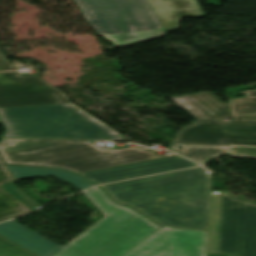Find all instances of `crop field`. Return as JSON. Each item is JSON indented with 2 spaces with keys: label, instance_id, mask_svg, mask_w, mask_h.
<instances>
[{
  "label": "crop field",
  "instance_id": "obj_17",
  "mask_svg": "<svg viewBox=\"0 0 256 256\" xmlns=\"http://www.w3.org/2000/svg\"><path fill=\"white\" fill-rule=\"evenodd\" d=\"M245 98L230 100L233 121H256V89L241 91Z\"/></svg>",
  "mask_w": 256,
  "mask_h": 256
},
{
  "label": "crop field",
  "instance_id": "obj_22",
  "mask_svg": "<svg viewBox=\"0 0 256 256\" xmlns=\"http://www.w3.org/2000/svg\"><path fill=\"white\" fill-rule=\"evenodd\" d=\"M256 207V203L237 199L227 193L226 209Z\"/></svg>",
  "mask_w": 256,
  "mask_h": 256
},
{
  "label": "crop field",
  "instance_id": "obj_18",
  "mask_svg": "<svg viewBox=\"0 0 256 256\" xmlns=\"http://www.w3.org/2000/svg\"><path fill=\"white\" fill-rule=\"evenodd\" d=\"M135 256H174L170 233H165Z\"/></svg>",
  "mask_w": 256,
  "mask_h": 256
},
{
  "label": "crop field",
  "instance_id": "obj_2",
  "mask_svg": "<svg viewBox=\"0 0 256 256\" xmlns=\"http://www.w3.org/2000/svg\"><path fill=\"white\" fill-rule=\"evenodd\" d=\"M85 193L106 217L67 246L13 220L0 224V234L40 256H122L160 228L130 208L113 203L97 187Z\"/></svg>",
  "mask_w": 256,
  "mask_h": 256
},
{
  "label": "crop field",
  "instance_id": "obj_19",
  "mask_svg": "<svg viewBox=\"0 0 256 256\" xmlns=\"http://www.w3.org/2000/svg\"><path fill=\"white\" fill-rule=\"evenodd\" d=\"M2 188H4L6 191H8L10 194H12L14 197H16L33 211L42 206L31 197H29L27 194H25L23 191H21L12 182L4 184Z\"/></svg>",
  "mask_w": 256,
  "mask_h": 256
},
{
  "label": "crop field",
  "instance_id": "obj_20",
  "mask_svg": "<svg viewBox=\"0 0 256 256\" xmlns=\"http://www.w3.org/2000/svg\"><path fill=\"white\" fill-rule=\"evenodd\" d=\"M0 256H36V255L0 237Z\"/></svg>",
  "mask_w": 256,
  "mask_h": 256
},
{
  "label": "crop field",
  "instance_id": "obj_1",
  "mask_svg": "<svg viewBox=\"0 0 256 256\" xmlns=\"http://www.w3.org/2000/svg\"><path fill=\"white\" fill-rule=\"evenodd\" d=\"M211 175L201 168L102 185L162 226L207 230Z\"/></svg>",
  "mask_w": 256,
  "mask_h": 256
},
{
  "label": "crop field",
  "instance_id": "obj_25",
  "mask_svg": "<svg viewBox=\"0 0 256 256\" xmlns=\"http://www.w3.org/2000/svg\"><path fill=\"white\" fill-rule=\"evenodd\" d=\"M164 229L167 230L168 232H170V230H168L167 228L164 227ZM171 237H172V234H171ZM172 241H173V237H172ZM173 244H174V242H173ZM175 256H176V247H175Z\"/></svg>",
  "mask_w": 256,
  "mask_h": 256
},
{
  "label": "crop field",
  "instance_id": "obj_4",
  "mask_svg": "<svg viewBox=\"0 0 256 256\" xmlns=\"http://www.w3.org/2000/svg\"><path fill=\"white\" fill-rule=\"evenodd\" d=\"M84 18L117 48L165 35L147 0H75Z\"/></svg>",
  "mask_w": 256,
  "mask_h": 256
},
{
  "label": "crop field",
  "instance_id": "obj_8",
  "mask_svg": "<svg viewBox=\"0 0 256 256\" xmlns=\"http://www.w3.org/2000/svg\"><path fill=\"white\" fill-rule=\"evenodd\" d=\"M173 143L256 146V122L198 121L181 130Z\"/></svg>",
  "mask_w": 256,
  "mask_h": 256
},
{
  "label": "crop field",
  "instance_id": "obj_16",
  "mask_svg": "<svg viewBox=\"0 0 256 256\" xmlns=\"http://www.w3.org/2000/svg\"><path fill=\"white\" fill-rule=\"evenodd\" d=\"M178 145L184 147L183 150L176 148ZM229 146L217 145H188V144H170L168 149L182 154L200 164L224 153ZM186 151V153H184Z\"/></svg>",
  "mask_w": 256,
  "mask_h": 256
},
{
  "label": "crop field",
  "instance_id": "obj_5",
  "mask_svg": "<svg viewBox=\"0 0 256 256\" xmlns=\"http://www.w3.org/2000/svg\"><path fill=\"white\" fill-rule=\"evenodd\" d=\"M226 192L211 193L208 253L256 256V208L225 210Z\"/></svg>",
  "mask_w": 256,
  "mask_h": 256
},
{
  "label": "crop field",
  "instance_id": "obj_14",
  "mask_svg": "<svg viewBox=\"0 0 256 256\" xmlns=\"http://www.w3.org/2000/svg\"><path fill=\"white\" fill-rule=\"evenodd\" d=\"M15 180L54 176L81 190L94 186L74 173L47 168L8 166Z\"/></svg>",
  "mask_w": 256,
  "mask_h": 256
},
{
  "label": "crop field",
  "instance_id": "obj_13",
  "mask_svg": "<svg viewBox=\"0 0 256 256\" xmlns=\"http://www.w3.org/2000/svg\"><path fill=\"white\" fill-rule=\"evenodd\" d=\"M177 247V256H207V231L169 228Z\"/></svg>",
  "mask_w": 256,
  "mask_h": 256
},
{
  "label": "crop field",
  "instance_id": "obj_6",
  "mask_svg": "<svg viewBox=\"0 0 256 256\" xmlns=\"http://www.w3.org/2000/svg\"><path fill=\"white\" fill-rule=\"evenodd\" d=\"M0 116L64 118L58 138L125 140L72 103L2 108Z\"/></svg>",
  "mask_w": 256,
  "mask_h": 256
},
{
  "label": "crop field",
  "instance_id": "obj_21",
  "mask_svg": "<svg viewBox=\"0 0 256 256\" xmlns=\"http://www.w3.org/2000/svg\"><path fill=\"white\" fill-rule=\"evenodd\" d=\"M165 232H167V231H165L164 229L160 228L155 233H153L151 236H149L147 239H145L143 242H141L139 245H137L135 248H133L131 251L126 253L124 256H133V255H135L136 253L141 251L143 248H145L147 245H149L154 240H156L161 235H163Z\"/></svg>",
  "mask_w": 256,
  "mask_h": 256
},
{
  "label": "crop field",
  "instance_id": "obj_23",
  "mask_svg": "<svg viewBox=\"0 0 256 256\" xmlns=\"http://www.w3.org/2000/svg\"><path fill=\"white\" fill-rule=\"evenodd\" d=\"M228 154L239 156V157L256 158V148L232 147Z\"/></svg>",
  "mask_w": 256,
  "mask_h": 256
},
{
  "label": "crop field",
  "instance_id": "obj_7",
  "mask_svg": "<svg viewBox=\"0 0 256 256\" xmlns=\"http://www.w3.org/2000/svg\"><path fill=\"white\" fill-rule=\"evenodd\" d=\"M70 102L67 96L36 75L0 73V108Z\"/></svg>",
  "mask_w": 256,
  "mask_h": 256
},
{
  "label": "crop field",
  "instance_id": "obj_24",
  "mask_svg": "<svg viewBox=\"0 0 256 256\" xmlns=\"http://www.w3.org/2000/svg\"><path fill=\"white\" fill-rule=\"evenodd\" d=\"M17 70L14 65L4 56L0 49V72L1 71H12Z\"/></svg>",
  "mask_w": 256,
  "mask_h": 256
},
{
  "label": "crop field",
  "instance_id": "obj_12",
  "mask_svg": "<svg viewBox=\"0 0 256 256\" xmlns=\"http://www.w3.org/2000/svg\"><path fill=\"white\" fill-rule=\"evenodd\" d=\"M170 99L197 120L220 119L230 116L228 106L211 92L172 97Z\"/></svg>",
  "mask_w": 256,
  "mask_h": 256
},
{
  "label": "crop field",
  "instance_id": "obj_11",
  "mask_svg": "<svg viewBox=\"0 0 256 256\" xmlns=\"http://www.w3.org/2000/svg\"><path fill=\"white\" fill-rule=\"evenodd\" d=\"M164 32L178 28L186 16H204L197 0H148Z\"/></svg>",
  "mask_w": 256,
  "mask_h": 256
},
{
  "label": "crop field",
  "instance_id": "obj_9",
  "mask_svg": "<svg viewBox=\"0 0 256 256\" xmlns=\"http://www.w3.org/2000/svg\"><path fill=\"white\" fill-rule=\"evenodd\" d=\"M197 164L180 156L162 158L116 168L81 173L80 175L99 185L107 182L129 179L139 176L194 167Z\"/></svg>",
  "mask_w": 256,
  "mask_h": 256
},
{
  "label": "crop field",
  "instance_id": "obj_15",
  "mask_svg": "<svg viewBox=\"0 0 256 256\" xmlns=\"http://www.w3.org/2000/svg\"><path fill=\"white\" fill-rule=\"evenodd\" d=\"M7 166L0 161V221L14 218L29 212V208L1 188L5 182L13 181Z\"/></svg>",
  "mask_w": 256,
  "mask_h": 256
},
{
  "label": "crop field",
  "instance_id": "obj_3",
  "mask_svg": "<svg viewBox=\"0 0 256 256\" xmlns=\"http://www.w3.org/2000/svg\"><path fill=\"white\" fill-rule=\"evenodd\" d=\"M0 153L6 164L69 169L75 173L124 165L156 157L140 147L102 149L87 141L2 138Z\"/></svg>",
  "mask_w": 256,
  "mask_h": 256
},
{
  "label": "crop field",
  "instance_id": "obj_26",
  "mask_svg": "<svg viewBox=\"0 0 256 256\" xmlns=\"http://www.w3.org/2000/svg\"><path fill=\"white\" fill-rule=\"evenodd\" d=\"M0 160H1V158H0Z\"/></svg>",
  "mask_w": 256,
  "mask_h": 256
},
{
  "label": "crop field",
  "instance_id": "obj_10",
  "mask_svg": "<svg viewBox=\"0 0 256 256\" xmlns=\"http://www.w3.org/2000/svg\"><path fill=\"white\" fill-rule=\"evenodd\" d=\"M4 136L57 138L63 119L0 117Z\"/></svg>",
  "mask_w": 256,
  "mask_h": 256
}]
</instances>
